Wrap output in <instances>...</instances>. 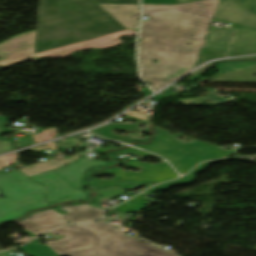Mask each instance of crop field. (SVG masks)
Here are the masks:
<instances>
[{"mask_svg": "<svg viewBox=\"0 0 256 256\" xmlns=\"http://www.w3.org/2000/svg\"><path fill=\"white\" fill-rule=\"evenodd\" d=\"M125 115L135 117V118H139V119H142V120H147V118L144 114H140V113L133 112V111H131V112L125 114Z\"/></svg>", "mask_w": 256, "mask_h": 256, "instance_id": "bd1437ed", "label": "crop field"}, {"mask_svg": "<svg viewBox=\"0 0 256 256\" xmlns=\"http://www.w3.org/2000/svg\"><path fill=\"white\" fill-rule=\"evenodd\" d=\"M19 249L33 256H59L47 244L41 245L38 239L28 243L27 246L21 247Z\"/></svg>", "mask_w": 256, "mask_h": 256, "instance_id": "733c2abd", "label": "crop field"}, {"mask_svg": "<svg viewBox=\"0 0 256 256\" xmlns=\"http://www.w3.org/2000/svg\"><path fill=\"white\" fill-rule=\"evenodd\" d=\"M171 89H173V88L169 87L166 90H164V94L163 95H156V96L152 97L151 99L160 101V100L165 99V98L182 95V94L170 91Z\"/></svg>", "mask_w": 256, "mask_h": 256, "instance_id": "730fd06b", "label": "crop field"}, {"mask_svg": "<svg viewBox=\"0 0 256 256\" xmlns=\"http://www.w3.org/2000/svg\"><path fill=\"white\" fill-rule=\"evenodd\" d=\"M24 232H26L27 234H29L30 236H34L33 234H31L29 231H24Z\"/></svg>", "mask_w": 256, "mask_h": 256, "instance_id": "5866460e", "label": "crop field"}, {"mask_svg": "<svg viewBox=\"0 0 256 256\" xmlns=\"http://www.w3.org/2000/svg\"><path fill=\"white\" fill-rule=\"evenodd\" d=\"M30 239H32V238L24 237V238H22V239L16 241L15 243L18 244V243L25 242V241L30 240Z\"/></svg>", "mask_w": 256, "mask_h": 256, "instance_id": "120bbe31", "label": "crop field"}, {"mask_svg": "<svg viewBox=\"0 0 256 256\" xmlns=\"http://www.w3.org/2000/svg\"><path fill=\"white\" fill-rule=\"evenodd\" d=\"M138 159L139 158L133 160L130 163H127L126 165L132 168H138L140 167V165L144 166V170L141 171L139 174L132 171L124 172L117 167L112 170L97 173L102 174L110 172L116 176L113 180L94 179L93 185L96 187H105L108 185L121 184L125 182H161L177 177V174L173 172L172 168L167 162H162L163 165H160V163L156 165H151L139 163Z\"/></svg>", "mask_w": 256, "mask_h": 256, "instance_id": "dd49c442", "label": "crop field"}, {"mask_svg": "<svg viewBox=\"0 0 256 256\" xmlns=\"http://www.w3.org/2000/svg\"><path fill=\"white\" fill-rule=\"evenodd\" d=\"M219 0L172 6L143 5L139 38L142 76L157 90L193 69ZM191 41V45H185ZM157 60L151 64V60Z\"/></svg>", "mask_w": 256, "mask_h": 256, "instance_id": "8a807250", "label": "crop field"}, {"mask_svg": "<svg viewBox=\"0 0 256 256\" xmlns=\"http://www.w3.org/2000/svg\"><path fill=\"white\" fill-rule=\"evenodd\" d=\"M6 123V117L0 116V134L1 132H12V130L4 128ZM14 149H16L14 139L0 137V153Z\"/></svg>", "mask_w": 256, "mask_h": 256, "instance_id": "bc2a9ffb", "label": "crop field"}, {"mask_svg": "<svg viewBox=\"0 0 256 256\" xmlns=\"http://www.w3.org/2000/svg\"><path fill=\"white\" fill-rule=\"evenodd\" d=\"M11 163H17L16 152L0 157V169L8 166Z\"/></svg>", "mask_w": 256, "mask_h": 256, "instance_id": "4177f3b9", "label": "crop field"}, {"mask_svg": "<svg viewBox=\"0 0 256 256\" xmlns=\"http://www.w3.org/2000/svg\"><path fill=\"white\" fill-rule=\"evenodd\" d=\"M113 153L118 154V155H123L125 153H128V154L138 156V157H141V158H143V157H156V158L160 159L161 161L163 160V159L159 158L156 155H153V154H150V153H147V152H144V151H140V150L134 149L132 147H130L126 150L116 151V152H113Z\"/></svg>", "mask_w": 256, "mask_h": 256, "instance_id": "00972430", "label": "crop field"}, {"mask_svg": "<svg viewBox=\"0 0 256 256\" xmlns=\"http://www.w3.org/2000/svg\"><path fill=\"white\" fill-rule=\"evenodd\" d=\"M142 186H144V184L129 187V188L109 187V188L100 189L98 191L104 194V196L102 198L107 199V198L113 197V196L121 193L122 190H125V189L134 190V189L142 187Z\"/></svg>", "mask_w": 256, "mask_h": 256, "instance_id": "92a150f3", "label": "crop field"}, {"mask_svg": "<svg viewBox=\"0 0 256 256\" xmlns=\"http://www.w3.org/2000/svg\"><path fill=\"white\" fill-rule=\"evenodd\" d=\"M40 213L41 215H39ZM67 221L66 215L58 214L53 210L48 209L36 212L27 219L18 221L16 223L37 236L49 229L56 228Z\"/></svg>", "mask_w": 256, "mask_h": 256, "instance_id": "3316defc", "label": "crop field"}, {"mask_svg": "<svg viewBox=\"0 0 256 256\" xmlns=\"http://www.w3.org/2000/svg\"><path fill=\"white\" fill-rule=\"evenodd\" d=\"M127 119L135 120V121H137V123L131 124V125H127V124H108V125L99 127L97 129L91 130V132L95 133V134H98V135H101V136H104V137H107V138H110V139L123 141V142H126V143L147 142L148 140L131 139L127 136L117 135V134L113 133L116 129L140 132L139 126L141 124H143V121L139 120V119L131 118V117H129Z\"/></svg>", "mask_w": 256, "mask_h": 256, "instance_id": "22f410ed", "label": "crop field"}, {"mask_svg": "<svg viewBox=\"0 0 256 256\" xmlns=\"http://www.w3.org/2000/svg\"><path fill=\"white\" fill-rule=\"evenodd\" d=\"M36 30L18 35L0 43V66L32 59L34 56Z\"/></svg>", "mask_w": 256, "mask_h": 256, "instance_id": "e52e79f7", "label": "crop field"}, {"mask_svg": "<svg viewBox=\"0 0 256 256\" xmlns=\"http://www.w3.org/2000/svg\"><path fill=\"white\" fill-rule=\"evenodd\" d=\"M126 29L137 30L139 22L132 17L140 14L139 5H100Z\"/></svg>", "mask_w": 256, "mask_h": 256, "instance_id": "d1516ede", "label": "crop field"}, {"mask_svg": "<svg viewBox=\"0 0 256 256\" xmlns=\"http://www.w3.org/2000/svg\"><path fill=\"white\" fill-rule=\"evenodd\" d=\"M32 178L49 187L46 196L51 202H57L65 198L81 200L89 196L82 190L73 189L66 181L52 171L39 174Z\"/></svg>", "mask_w": 256, "mask_h": 256, "instance_id": "5a996713", "label": "crop field"}, {"mask_svg": "<svg viewBox=\"0 0 256 256\" xmlns=\"http://www.w3.org/2000/svg\"><path fill=\"white\" fill-rule=\"evenodd\" d=\"M142 3L175 4L179 2L176 0H142Z\"/></svg>", "mask_w": 256, "mask_h": 256, "instance_id": "d3111659", "label": "crop field"}, {"mask_svg": "<svg viewBox=\"0 0 256 256\" xmlns=\"http://www.w3.org/2000/svg\"><path fill=\"white\" fill-rule=\"evenodd\" d=\"M106 162L81 159L75 164L69 165L65 168H62L56 173L66 179L73 187L75 188H84L81 184V181L88 170L89 167L95 165H106Z\"/></svg>", "mask_w": 256, "mask_h": 256, "instance_id": "28ad6ade", "label": "crop field"}, {"mask_svg": "<svg viewBox=\"0 0 256 256\" xmlns=\"http://www.w3.org/2000/svg\"><path fill=\"white\" fill-rule=\"evenodd\" d=\"M254 74H256V67L221 74L209 81L256 82V77H252V75H254Z\"/></svg>", "mask_w": 256, "mask_h": 256, "instance_id": "d9b57169", "label": "crop field"}, {"mask_svg": "<svg viewBox=\"0 0 256 256\" xmlns=\"http://www.w3.org/2000/svg\"><path fill=\"white\" fill-rule=\"evenodd\" d=\"M223 160H224V159H223ZM210 162H213V161H210ZM207 163H209V162H205V163L199 165L198 167H196V168L194 169V171H193L192 173H190L188 176H186L185 178H183V179H181V180H176V181L168 182V183H166V184H164V185L157 186V187H155V188H153V189H151V190H149V191H147V192H145V193H146V194H149V193H151V192H153V191L156 192V191H158V190H164V189L169 188V186H170V185H173V184H178V183L185 184V183L191 181V179L193 178V174H194V173H196V172L202 170L204 167H206V164H207Z\"/></svg>", "mask_w": 256, "mask_h": 256, "instance_id": "214f88e0", "label": "crop field"}, {"mask_svg": "<svg viewBox=\"0 0 256 256\" xmlns=\"http://www.w3.org/2000/svg\"><path fill=\"white\" fill-rule=\"evenodd\" d=\"M0 188L7 198L0 199V222L22 216L26 211L47 206L46 187L16 170L0 174Z\"/></svg>", "mask_w": 256, "mask_h": 256, "instance_id": "f4fd0767", "label": "crop field"}, {"mask_svg": "<svg viewBox=\"0 0 256 256\" xmlns=\"http://www.w3.org/2000/svg\"><path fill=\"white\" fill-rule=\"evenodd\" d=\"M146 203H147V200L144 198V195L140 194L113 209L122 213L138 211L142 209L143 205Z\"/></svg>", "mask_w": 256, "mask_h": 256, "instance_id": "4a817a6b", "label": "crop field"}, {"mask_svg": "<svg viewBox=\"0 0 256 256\" xmlns=\"http://www.w3.org/2000/svg\"><path fill=\"white\" fill-rule=\"evenodd\" d=\"M96 3H130L138 4V0H94Z\"/></svg>", "mask_w": 256, "mask_h": 256, "instance_id": "eef30255", "label": "crop field"}, {"mask_svg": "<svg viewBox=\"0 0 256 256\" xmlns=\"http://www.w3.org/2000/svg\"><path fill=\"white\" fill-rule=\"evenodd\" d=\"M69 212V222L90 221L101 217L107 210L99 209L89 205L61 207ZM75 209V210H73Z\"/></svg>", "mask_w": 256, "mask_h": 256, "instance_id": "cbeb9de0", "label": "crop field"}, {"mask_svg": "<svg viewBox=\"0 0 256 256\" xmlns=\"http://www.w3.org/2000/svg\"><path fill=\"white\" fill-rule=\"evenodd\" d=\"M180 3H183V2H189V1H195V0H178Z\"/></svg>", "mask_w": 256, "mask_h": 256, "instance_id": "d32e631a", "label": "crop field"}, {"mask_svg": "<svg viewBox=\"0 0 256 256\" xmlns=\"http://www.w3.org/2000/svg\"><path fill=\"white\" fill-rule=\"evenodd\" d=\"M210 65H211V64L209 63V64H207L206 66L200 68L199 70H197V71H195L194 73H192L191 76H194V75H198V74L203 73L204 71H206V70L210 67Z\"/></svg>", "mask_w": 256, "mask_h": 256, "instance_id": "1d83c4d3", "label": "crop field"}, {"mask_svg": "<svg viewBox=\"0 0 256 256\" xmlns=\"http://www.w3.org/2000/svg\"><path fill=\"white\" fill-rule=\"evenodd\" d=\"M104 221L63 227L50 233L64 235L47 244L60 256H176L148 243H140Z\"/></svg>", "mask_w": 256, "mask_h": 256, "instance_id": "34b2d1b8", "label": "crop field"}, {"mask_svg": "<svg viewBox=\"0 0 256 256\" xmlns=\"http://www.w3.org/2000/svg\"><path fill=\"white\" fill-rule=\"evenodd\" d=\"M16 142L18 148L31 145L30 139H18Z\"/></svg>", "mask_w": 256, "mask_h": 256, "instance_id": "750c4746", "label": "crop field"}, {"mask_svg": "<svg viewBox=\"0 0 256 256\" xmlns=\"http://www.w3.org/2000/svg\"><path fill=\"white\" fill-rule=\"evenodd\" d=\"M226 52L202 50L196 64H200L206 60L213 58H220L225 55Z\"/></svg>", "mask_w": 256, "mask_h": 256, "instance_id": "dafd665d", "label": "crop field"}, {"mask_svg": "<svg viewBox=\"0 0 256 256\" xmlns=\"http://www.w3.org/2000/svg\"><path fill=\"white\" fill-rule=\"evenodd\" d=\"M81 154H83V153H80L70 159H63V160L49 159V160H47L43 163H40L36 166L27 167V168H23V169H19V170L29 177L35 176L42 172H46V171H49L52 169L63 167L64 164H70V163L76 161L77 159H79L78 156Z\"/></svg>", "mask_w": 256, "mask_h": 256, "instance_id": "5142ce71", "label": "crop field"}, {"mask_svg": "<svg viewBox=\"0 0 256 256\" xmlns=\"http://www.w3.org/2000/svg\"><path fill=\"white\" fill-rule=\"evenodd\" d=\"M43 149H46V150L52 149V152H56L55 142L47 144V145L39 146V147H36V148H32L31 151L39 152Z\"/></svg>", "mask_w": 256, "mask_h": 256, "instance_id": "ae1a2a85", "label": "crop field"}, {"mask_svg": "<svg viewBox=\"0 0 256 256\" xmlns=\"http://www.w3.org/2000/svg\"><path fill=\"white\" fill-rule=\"evenodd\" d=\"M134 34H137V31L124 30V31L104 35L92 40H87V41L55 48L52 50L40 52L35 54L34 58L49 57V56H51L52 58L66 57V56H69L74 51H78L86 48H106V47L120 44L118 37L134 35Z\"/></svg>", "mask_w": 256, "mask_h": 256, "instance_id": "d8731c3e", "label": "crop field"}, {"mask_svg": "<svg viewBox=\"0 0 256 256\" xmlns=\"http://www.w3.org/2000/svg\"><path fill=\"white\" fill-rule=\"evenodd\" d=\"M54 136H56V130L55 129H48L43 130L42 133L34 135V142L39 143L46 140L52 139Z\"/></svg>", "mask_w": 256, "mask_h": 256, "instance_id": "a9b5d70f", "label": "crop field"}, {"mask_svg": "<svg viewBox=\"0 0 256 256\" xmlns=\"http://www.w3.org/2000/svg\"><path fill=\"white\" fill-rule=\"evenodd\" d=\"M156 130L158 135L151 144L136 146L165 157L181 174L187 173L198 162L231 154L212 144L191 137L189 138L195 142L184 144L174 138L184 135L174 134L169 136L170 132H167L166 129L158 128Z\"/></svg>", "mask_w": 256, "mask_h": 256, "instance_id": "412701ff", "label": "crop field"}, {"mask_svg": "<svg viewBox=\"0 0 256 256\" xmlns=\"http://www.w3.org/2000/svg\"><path fill=\"white\" fill-rule=\"evenodd\" d=\"M38 20L35 52L124 30L92 0H41Z\"/></svg>", "mask_w": 256, "mask_h": 256, "instance_id": "ac0d7876", "label": "crop field"}]
</instances>
